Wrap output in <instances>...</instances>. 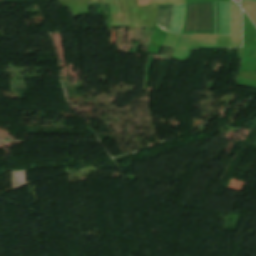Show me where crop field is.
I'll return each instance as SVG.
<instances>
[{
  "instance_id": "obj_1",
  "label": "crop field",
  "mask_w": 256,
  "mask_h": 256,
  "mask_svg": "<svg viewBox=\"0 0 256 256\" xmlns=\"http://www.w3.org/2000/svg\"><path fill=\"white\" fill-rule=\"evenodd\" d=\"M241 41V13L240 8L231 2V42L230 47L240 46Z\"/></svg>"
},
{
  "instance_id": "obj_2",
  "label": "crop field",
  "mask_w": 256,
  "mask_h": 256,
  "mask_svg": "<svg viewBox=\"0 0 256 256\" xmlns=\"http://www.w3.org/2000/svg\"><path fill=\"white\" fill-rule=\"evenodd\" d=\"M220 35H230V2H219Z\"/></svg>"
},
{
  "instance_id": "obj_3",
  "label": "crop field",
  "mask_w": 256,
  "mask_h": 256,
  "mask_svg": "<svg viewBox=\"0 0 256 256\" xmlns=\"http://www.w3.org/2000/svg\"><path fill=\"white\" fill-rule=\"evenodd\" d=\"M184 15V4L174 5L173 23L169 31L180 33Z\"/></svg>"
},
{
  "instance_id": "obj_4",
  "label": "crop field",
  "mask_w": 256,
  "mask_h": 256,
  "mask_svg": "<svg viewBox=\"0 0 256 256\" xmlns=\"http://www.w3.org/2000/svg\"><path fill=\"white\" fill-rule=\"evenodd\" d=\"M138 5H162L184 3V0H137Z\"/></svg>"
},
{
  "instance_id": "obj_5",
  "label": "crop field",
  "mask_w": 256,
  "mask_h": 256,
  "mask_svg": "<svg viewBox=\"0 0 256 256\" xmlns=\"http://www.w3.org/2000/svg\"><path fill=\"white\" fill-rule=\"evenodd\" d=\"M243 10L250 16L252 21H255L254 3H243Z\"/></svg>"
},
{
  "instance_id": "obj_6",
  "label": "crop field",
  "mask_w": 256,
  "mask_h": 256,
  "mask_svg": "<svg viewBox=\"0 0 256 256\" xmlns=\"http://www.w3.org/2000/svg\"><path fill=\"white\" fill-rule=\"evenodd\" d=\"M241 2H256V0H241Z\"/></svg>"
},
{
  "instance_id": "obj_7",
  "label": "crop field",
  "mask_w": 256,
  "mask_h": 256,
  "mask_svg": "<svg viewBox=\"0 0 256 256\" xmlns=\"http://www.w3.org/2000/svg\"><path fill=\"white\" fill-rule=\"evenodd\" d=\"M235 1H239V0H235Z\"/></svg>"
}]
</instances>
